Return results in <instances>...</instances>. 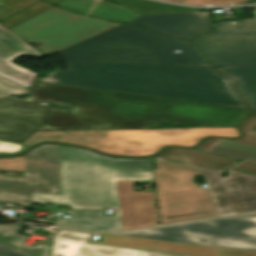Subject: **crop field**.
I'll use <instances>...</instances> for the list:
<instances>
[{
  "label": "crop field",
  "instance_id": "obj_17",
  "mask_svg": "<svg viewBox=\"0 0 256 256\" xmlns=\"http://www.w3.org/2000/svg\"><path fill=\"white\" fill-rule=\"evenodd\" d=\"M40 0H0V20L3 21Z\"/></svg>",
  "mask_w": 256,
  "mask_h": 256
},
{
  "label": "crop field",
  "instance_id": "obj_15",
  "mask_svg": "<svg viewBox=\"0 0 256 256\" xmlns=\"http://www.w3.org/2000/svg\"><path fill=\"white\" fill-rule=\"evenodd\" d=\"M22 226L0 225V250L24 256H48L50 245L39 244L36 247L24 246L26 236L15 234Z\"/></svg>",
  "mask_w": 256,
  "mask_h": 256
},
{
  "label": "crop field",
  "instance_id": "obj_3",
  "mask_svg": "<svg viewBox=\"0 0 256 256\" xmlns=\"http://www.w3.org/2000/svg\"><path fill=\"white\" fill-rule=\"evenodd\" d=\"M61 195L33 192L32 203L70 204V209L118 210L65 211L70 219L58 226L89 232L123 229L115 180H154L150 159H115L94 152L60 146ZM125 229L157 225L153 192L133 191V181L119 182Z\"/></svg>",
  "mask_w": 256,
  "mask_h": 256
},
{
  "label": "crop field",
  "instance_id": "obj_8",
  "mask_svg": "<svg viewBox=\"0 0 256 256\" xmlns=\"http://www.w3.org/2000/svg\"><path fill=\"white\" fill-rule=\"evenodd\" d=\"M118 25L52 6L10 30L48 56Z\"/></svg>",
  "mask_w": 256,
  "mask_h": 256
},
{
  "label": "crop field",
  "instance_id": "obj_24",
  "mask_svg": "<svg viewBox=\"0 0 256 256\" xmlns=\"http://www.w3.org/2000/svg\"><path fill=\"white\" fill-rule=\"evenodd\" d=\"M167 1H173V2H178V1H180V0H167Z\"/></svg>",
  "mask_w": 256,
  "mask_h": 256
},
{
  "label": "crop field",
  "instance_id": "obj_6",
  "mask_svg": "<svg viewBox=\"0 0 256 256\" xmlns=\"http://www.w3.org/2000/svg\"><path fill=\"white\" fill-rule=\"evenodd\" d=\"M173 50L182 53H173ZM57 54L64 62L210 65L188 41L126 24Z\"/></svg>",
  "mask_w": 256,
  "mask_h": 256
},
{
  "label": "crop field",
  "instance_id": "obj_12",
  "mask_svg": "<svg viewBox=\"0 0 256 256\" xmlns=\"http://www.w3.org/2000/svg\"><path fill=\"white\" fill-rule=\"evenodd\" d=\"M128 23L141 24L153 30L186 39L201 32L210 31L208 13L198 11L141 16Z\"/></svg>",
  "mask_w": 256,
  "mask_h": 256
},
{
  "label": "crop field",
  "instance_id": "obj_25",
  "mask_svg": "<svg viewBox=\"0 0 256 256\" xmlns=\"http://www.w3.org/2000/svg\"><path fill=\"white\" fill-rule=\"evenodd\" d=\"M253 3H256V0H254V2ZM246 4H252V3H246Z\"/></svg>",
  "mask_w": 256,
  "mask_h": 256
},
{
  "label": "crop field",
  "instance_id": "obj_16",
  "mask_svg": "<svg viewBox=\"0 0 256 256\" xmlns=\"http://www.w3.org/2000/svg\"><path fill=\"white\" fill-rule=\"evenodd\" d=\"M219 69L236 79L239 90L256 111V67H221Z\"/></svg>",
  "mask_w": 256,
  "mask_h": 256
},
{
  "label": "crop field",
  "instance_id": "obj_14",
  "mask_svg": "<svg viewBox=\"0 0 256 256\" xmlns=\"http://www.w3.org/2000/svg\"><path fill=\"white\" fill-rule=\"evenodd\" d=\"M56 5L119 22H128L141 16L119 5L104 0H63Z\"/></svg>",
  "mask_w": 256,
  "mask_h": 256
},
{
  "label": "crop field",
  "instance_id": "obj_26",
  "mask_svg": "<svg viewBox=\"0 0 256 256\" xmlns=\"http://www.w3.org/2000/svg\"><path fill=\"white\" fill-rule=\"evenodd\" d=\"M255 13H256V8H255Z\"/></svg>",
  "mask_w": 256,
  "mask_h": 256
},
{
  "label": "crop field",
  "instance_id": "obj_10",
  "mask_svg": "<svg viewBox=\"0 0 256 256\" xmlns=\"http://www.w3.org/2000/svg\"><path fill=\"white\" fill-rule=\"evenodd\" d=\"M214 32L193 39L210 61L218 66H256L254 19L213 25Z\"/></svg>",
  "mask_w": 256,
  "mask_h": 256
},
{
  "label": "crop field",
  "instance_id": "obj_5",
  "mask_svg": "<svg viewBox=\"0 0 256 256\" xmlns=\"http://www.w3.org/2000/svg\"><path fill=\"white\" fill-rule=\"evenodd\" d=\"M91 244L195 256H256V213L98 235Z\"/></svg>",
  "mask_w": 256,
  "mask_h": 256
},
{
  "label": "crop field",
  "instance_id": "obj_22",
  "mask_svg": "<svg viewBox=\"0 0 256 256\" xmlns=\"http://www.w3.org/2000/svg\"><path fill=\"white\" fill-rule=\"evenodd\" d=\"M0 256H19V255H15V254L0 251Z\"/></svg>",
  "mask_w": 256,
  "mask_h": 256
},
{
  "label": "crop field",
  "instance_id": "obj_2",
  "mask_svg": "<svg viewBox=\"0 0 256 256\" xmlns=\"http://www.w3.org/2000/svg\"><path fill=\"white\" fill-rule=\"evenodd\" d=\"M238 140L210 139L198 147L239 160L196 150L171 148L153 158L161 224L256 211V116L243 125ZM205 177L208 188L193 183Z\"/></svg>",
  "mask_w": 256,
  "mask_h": 256
},
{
  "label": "crop field",
  "instance_id": "obj_7",
  "mask_svg": "<svg viewBox=\"0 0 256 256\" xmlns=\"http://www.w3.org/2000/svg\"><path fill=\"white\" fill-rule=\"evenodd\" d=\"M207 135L233 137L238 133L236 128L37 132L24 144L28 146L41 140H55L96 148L105 153L144 156L156 153L164 145L193 146Z\"/></svg>",
  "mask_w": 256,
  "mask_h": 256
},
{
  "label": "crop field",
  "instance_id": "obj_18",
  "mask_svg": "<svg viewBox=\"0 0 256 256\" xmlns=\"http://www.w3.org/2000/svg\"><path fill=\"white\" fill-rule=\"evenodd\" d=\"M51 5L44 3L42 1L34 4L33 6L27 8L26 10L20 12L19 14L13 16L12 18L2 22L1 24L6 28H11L28 18L38 14L39 12L45 10L46 8L50 7Z\"/></svg>",
  "mask_w": 256,
  "mask_h": 256
},
{
  "label": "crop field",
  "instance_id": "obj_20",
  "mask_svg": "<svg viewBox=\"0 0 256 256\" xmlns=\"http://www.w3.org/2000/svg\"><path fill=\"white\" fill-rule=\"evenodd\" d=\"M248 0H183L179 3L194 4V5H206V6H219V5H234L241 4Z\"/></svg>",
  "mask_w": 256,
  "mask_h": 256
},
{
  "label": "crop field",
  "instance_id": "obj_1",
  "mask_svg": "<svg viewBox=\"0 0 256 256\" xmlns=\"http://www.w3.org/2000/svg\"><path fill=\"white\" fill-rule=\"evenodd\" d=\"M248 113L244 108L36 82L25 101L0 99V139L24 142L37 131L147 129L148 123L164 120L236 127Z\"/></svg>",
  "mask_w": 256,
  "mask_h": 256
},
{
  "label": "crop field",
  "instance_id": "obj_13",
  "mask_svg": "<svg viewBox=\"0 0 256 256\" xmlns=\"http://www.w3.org/2000/svg\"><path fill=\"white\" fill-rule=\"evenodd\" d=\"M19 54L45 56L0 24V76L30 89L36 74L10 62Z\"/></svg>",
  "mask_w": 256,
  "mask_h": 256
},
{
  "label": "crop field",
  "instance_id": "obj_11",
  "mask_svg": "<svg viewBox=\"0 0 256 256\" xmlns=\"http://www.w3.org/2000/svg\"><path fill=\"white\" fill-rule=\"evenodd\" d=\"M90 235L60 229L53 235L51 256H186L86 244Z\"/></svg>",
  "mask_w": 256,
  "mask_h": 256
},
{
  "label": "crop field",
  "instance_id": "obj_19",
  "mask_svg": "<svg viewBox=\"0 0 256 256\" xmlns=\"http://www.w3.org/2000/svg\"><path fill=\"white\" fill-rule=\"evenodd\" d=\"M29 90L0 77V97L27 93Z\"/></svg>",
  "mask_w": 256,
  "mask_h": 256
},
{
  "label": "crop field",
  "instance_id": "obj_23",
  "mask_svg": "<svg viewBox=\"0 0 256 256\" xmlns=\"http://www.w3.org/2000/svg\"><path fill=\"white\" fill-rule=\"evenodd\" d=\"M46 1L55 4V3H57V2H59V1H61V0H46Z\"/></svg>",
  "mask_w": 256,
  "mask_h": 256
},
{
  "label": "crop field",
  "instance_id": "obj_4",
  "mask_svg": "<svg viewBox=\"0 0 256 256\" xmlns=\"http://www.w3.org/2000/svg\"><path fill=\"white\" fill-rule=\"evenodd\" d=\"M39 81L247 108L227 76L212 66L65 63Z\"/></svg>",
  "mask_w": 256,
  "mask_h": 256
},
{
  "label": "crop field",
  "instance_id": "obj_21",
  "mask_svg": "<svg viewBox=\"0 0 256 256\" xmlns=\"http://www.w3.org/2000/svg\"><path fill=\"white\" fill-rule=\"evenodd\" d=\"M25 147L27 146L17 143L0 141V153H14L24 149Z\"/></svg>",
  "mask_w": 256,
  "mask_h": 256
},
{
  "label": "crop field",
  "instance_id": "obj_9",
  "mask_svg": "<svg viewBox=\"0 0 256 256\" xmlns=\"http://www.w3.org/2000/svg\"><path fill=\"white\" fill-rule=\"evenodd\" d=\"M0 170L26 173L25 178L0 176V202L24 203L30 206L32 191L60 194L57 145H42L24 156L0 159Z\"/></svg>",
  "mask_w": 256,
  "mask_h": 256
}]
</instances>
